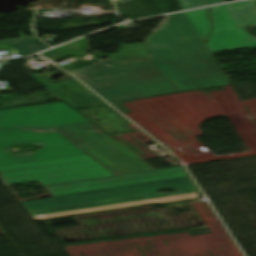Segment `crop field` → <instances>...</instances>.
<instances>
[{
	"label": "crop field",
	"instance_id": "crop-field-6",
	"mask_svg": "<svg viewBox=\"0 0 256 256\" xmlns=\"http://www.w3.org/2000/svg\"><path fill=\"white\" fill-rule=\"evenodd\" d=\"M213 31L208 38L210 52L256 47V39L241 27L256 23L250 0L211 7Z\"/></svg>",
	"mask_w": 256,
	"mask_h": 256
},
{
	"label": "crop field",
	"instance_id": "crop-field-12",
	"mask_svg": "<svg viewBox=\"0 0 256 256\" xmlns=\"http://www.w3.org/2000/svg\"><path fill=\"white\" fill-rule=\"evenodd\" d=\"M178 2L182 10L206 5L204 0H178Z\"/></svg>",
	"mask_w": 256,
	"mask_h": 256
},
{
	"label": "crop field",
	"instance_id": "crop-field-10",
	"mask_svg": "<svg viewBox=\"0 0 256 256\" xmlns=\"http://www.w3.org/2000/svg\"><path fill=\"white\" fill-rule=\"evenodd\" d=\"M207 9L186 12L185 15L202 38L203 41L206 40L208 34L210 33V21L206 15Z\"/></svg>",
	"mask_w": 256,
	"mask_h": 256
},
{
	"label": "crop field",
	"instance_id": "crop-field-1",
	"mask_svg": "<svg viewBox=\"0 0 256 256\" xmlns=\"http://www.w3.org/2000/svg\"><path fill=\"white\" fill-rule=\"evenodd\" d=\"M147 41L151 65L179 90L229 85L184 13L168 15Z\"/></svg>",
	"mask_w": 256,
	"mask_h": 256
},
{
	"label": "crop field",
	"instance_id": "crop-field-11",
	"mask_svg": "<svg viewBox=\"0 0 256 256\" xmlns=\"http://www.w3.org/2000/svg\"><path fill=\"white\" fill-rule=\"evenodd\" d=\"M6 42H8L11 46H13L16 50H18L24 56L48 48V46H46L44 43H42L35 37L18 38V39L8 40Z\"/></svg>",
	"mask_w": 256,
	"mask_h": 256
},
{
	"label": "crop field",
	"instance_id": "crop-field-15",
	"mask_svg": "<svg viewBox=\"0 0 256 256\" xmlns=\"http://www.w3.org/2000/svg\"><path fill=\"white\" fill-rule=\"evenodd\" d=\"M1 235V234H0Z\"/></svg>",
	"mask_w": 256,
	"mask_h": 256
},
{
	"label": "crop field",
	"instance_id": "crop-field-5",
	"mask_svg": "<svg viewBox=\"0 0 256 256\" xmlns=\"http://www.w3.org/2000/svg\"><path fill=\"white\" fill-rule=\"evenodd\" d=\"M114 175L154 168L94 125L54 128Z\"/></svg>",
	"mask_w": 256,
	"mask_h": 256
},
{
	"label": "crop field",
	"instance_id": "crop-field-7",
	"mask_svg": "<svg viewBox=\"0 0 256 256\" xmlns=\"http://www.w3.org/2000/svg\"><path fill=\"white\" fill-rule=\"evenodd\" d=\"M35 153L11 155L5 148L14 144H38ZM81 150L51 128L0 131V165L83 155Z\"/></svg>",
	"mask_w": 256,
	"mask_h": 256
},
{
	"label": "crop field",
	"instance_id": "crop-field-9",
	"mask_svg": "<svg viewBox=\"0 0 256 256\" xmlns=\"http://www.w3.org/2000/svg\"><path fill=\"white\" fill-rule=\"evenodd\" d=\"M195 194H196V191L193 188H189V189L176 190L175 193H152V194L118 198V199L98 201V202H92V203L31 211L29 213L34 219L40 220L48 217H59V216H65V215H72V214L111 209V208H117V207L131 206V205L144 204V203H150V202L161 203V202L185 200L192 197H197Z\"/></svg>",
	"mask_w": 256,
	"mask_h": 256
},
{
	"label": "crop field",
	"instance_id": "crop-field-13",
	"mask_svg": "<svg viewBox=\"0 0 256 256\" xmlns=\"http://www.w3.org/2000/svg\"><path fill=\"white\" fill-rule=\"evenodd\" d=\"M206 1H207L208 5L225 2L223 0H206Z\"/></svg>",
	"mask_w": 256,
	"mask_h": 256
},
{
	"label": "crop field",
	"instance_id": "crop-field-2",
	"mask_svg": "<svg viewBox=\"0 0 256 256\" xmlns=\"http://www.w3.org/2000/svg\"><path fill=\"white\" fill-rule=\"evenodd\" d=\"M192 187L182 167L46 187L52 197L21 202L27 211Z\"/></svg>",
	"mask_w": 256,
	"mask_h": 256
},
{
	"label": "crop field",
	"instance_id": "crop-field-3",
	"mask_svg": "<svg viewBox=\"0 0 256 256\" xmlns=\"http://www.w3.org/2000/svg\"><path fill=\"white\" fill-rule=\"evenodd\" d=\"M75 73L109 101L178 90L146 62L117 65L108 59Z\"/></svg>",
	"mask_w": 256,
	"mask_h": 256
},
{
	"label": "crop field",
	"instance_id": "crop-field-4",
	"mask_svg": "<svg viewBox=\"0 0 256 256\" xmlns=\"http://www.w3.org/2000/svg\"><path fill=\"white\" fill-rule=\"evenodd\" d=\"M0 174L5 183L44 185L112 175L87 155L0 166Z\"/></svg>",
	"mask_w": 256,
	"mask_h": 256
},
{
	"label": "crop field",
	"instance_id": "crop-field-14",
	"mask_svg": "<svg viewBox=\"0 0 256 256\" xmlns=\"http://www.w3.org/2000/svg\"><path fill=\"white\" fill-rule=\"evenodd\" d=\"M253 1H254L255 5H256V0H253Z\"/></svg>",
	"mask_w": 256,
	"mask_h": 256
},
{
	"label": "crop field",
	"instance_id": "crop-field-8",
	"mask_svg": "<svg viewBox=\"0 0 256 256\" xmlns=\"http://www.w3.org/2000/svg\"><path fill=\"white\" fill-rule=\"evenodd\" d=\"M74 111L62 103L4 110L0 111V129L91 124Z\"/></svg>",
	"mask_w": 256,
	"mask_h": 256
}]
</instances>
